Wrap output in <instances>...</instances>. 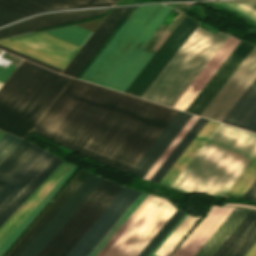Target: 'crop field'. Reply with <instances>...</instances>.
Returning <instances> with one entry per match:
<instances>
[{
	"label": "crop field",
	"mask_w": 256,
	"mask_h": 256,
	"mask_svg": "<svg viewBox=\"0 0 256 256\" xmlns=\"http://www.w3.org/2000/svg\"><path fill=\"white\" fill-rule=\"evenodd\" d=\"M177 112L71 78L31 131L129 173Z\"/></svg>",
	"instance_id": "8a807250"
},
{
	"label": "crop field",
	"mask_w": 256,
	"mask_h": 256,
	"mask_svg": "<svg viewBox=\"0 0 256 256\" xmlns=\"http://www.w3.org/2000/svg\"><path fill=\"white\" fill-rule=\"evenodd\" d=\"M171 11L162 4L137 6L81 79L124 92L154 55L142 47Z\"/></svg>",
	"instance_id": "ac0d7876"
},
{
	"label": "crop field",
	"mask_w": 256,
	"mask_h": 256,
	"mask_svg": "<svg viewBox=\"0 0 256 256\" xmlns=\"http://www.w3.org/2000/svg\"><path fill=\"white\" fill-rule=\"evenodd\" d=\"M255 156V134L220 124L171 187L224 196Z\"/></svg>",
	"instance_id": "34b2d1b8"
},
{
	"label": "crop field",
	"mask_w": 256,
	"mask_h": 256,
	"mask_svg": "<svg viewBox=\"0 0 256 256\" xmlns=\"http://www.w3.org/2000/svg\"><path fill=\"white\" fill-rule=\"evenodd\" d=\"M69 79L23 61L0 89V129L23 138Z\"/></svg>",
	"instance_id": "412701ff"
},
{
	"label": "crop field",
	"mask_w": 256,
	"mask_h": 256,
	"mask_svg": "<svg viewBox=\"0 0 256 256\" xmlns=\"http://www.w3.org/2000/svg\"><path fill=\"white\" fill-rule=\"evenodd\" d=\"M227 37L197 26L142 98L173 107Z\"/></svg>",
	"instance_id": "f4fd0767"
},
{
	"label": "crop field",
	"mask_w": 256,
	"mask_h": 256,
	"mask_svg": "<svg viewBox=\"0 0 256 256\" xmlns=\"http://www.w3.org/2000/svg\"><path fill=\"white\" fill-rule=\"evenodd\" d=\"M122 188L103 179L38 256H65Z\"/></svg>",
	"instance_id": "dd49c442"
},
{
	"label": "crop field",
	"mask_w": 256,
	"mask_h": 256,
	"mask_svg": "<svg viewBox=\"0 0 256 256\" xmlns=\"http://www.w3.org/2000/svg\"><path fill=\"white\" fill-rule=\"evenodd\" d=\"M54 155L22 140L0 163V213Z\"/></svg>",
	"instance_id": "e52e79f7"
},
{
	"label": "crop field",
	"mask_w": 256,
	"mask_h": 256,
	"mask_svg": "<svg viewBox=\"0 0 256 256\" xmlns=\"http://www.w3.org/2000/svg\"><path fill=\"white\" fill-rule=\"evenodd\" d=\"M176 210L167 200L154 196L104 256H137Z\"/></svg>",
	"instance_id": "d8731c3e"
},
{
	"label": "crop field",
	"mask_w": 256,
	"mask_h": 256,
	"mask_svg": "<svg viewBox=\"0 0 256 256\" xmlns=\"http://www.w3.org/2000/svg\"><path fill=\"white\" fill-rule=\"evenodd\" d=\"M256 77V46L202 112L201 116L221 121Z\"/></svg>",
	"instance_id": "5a996713"
},
{
	"label": "crop field",
	"mask_w": 256,
	"mask_h": 256,
	"mask_svg": "<svg viewBox=\"0 0 256 256\" xmlns=\"http://www.w3.org/2000/svg\"><path fill=\"white\" fill-rule=\"evenodd\" d=\"M139 193L124 187L66 256H87Z\"/></svg>",
	"instance_id": "3316defc"
},
{
	"label": "crop field",
	"mask_w": 256,
	"mask_h": 256,
	"mask_svg": "<svg viewBox=\"0 0 256 256\" xmlns=\"http://www.w3.org/2000/svg\"><path fill=\"white\" fill-rule=\"evenodd\" d=\"M101 180L90 173L20 256H36Z\"/></svg>",
	"instance_id": "28ad6ade"
},
{
	"label": "crop field",
	"mask_w": 256,
	"mask_h": 256,
	"mask_svg": "<svg viewBox=\"0 0 256 256\" xmlns=\"http://www.w3.org/2000/svg\"><path fill=\"white\" fill-rule=\"evenodd\" d=\"M253 45L243 41L236 47L192 104L188 107L186 112L200 114L205 106L210 102L218 90L223 86L231 74L236 70L244 58L253 49Z\"/></svg>",
	"instance_id": "d1516ede"
},
{
	"label": "crop field",
	"mask_w": 256,
	"mask_h": 256,
	"mask_svg": "<svg viewBox=\"0 0 256 256\" xmlns=\"http://www.w3.org/2000/svg\"><path fill=\"white\" fill-rule=\"evenodd\" d=\"M110 9L73 10L39 15L0 29V38L27 33L53 25L98 15Z\"/></svg>",
	"instance_id": "22f410ed"
},
{
	"label": "crop field",
	"mask_w": 256,
	"mask_h": 256,
	"mask_svg": "<svg viewBox=\"0 0 256 256\" xmlns=\"http://www.w3.org/2000/svg\"><path fill=\"white\" fill-rule=\"evenodd\" d=\"M234 208L212 206L172 256H194Z\"/></svg>",
	"instance_id": "cbeb9de0"
},
{
	"label": "crop field",
	"mask_w": 256,
	"mask_h": 256,
	"mask_svg": "<svg viewBox=\"0 0 256 256\" xmlns=\"http://www.w3.org/2000/svg\"><path fill=\"white\" fill-rule=\"evenodd\" d=\"M129 8H117L110 13L62 73L75 77Z\"/></svg>",
	"instance_id": "5142ce71"
},
{
	"label": "crop field",
	"mask_w": 256,
	"mask_h": 256,
	"mask_svg": "<svg viewBox=\"0 0 256 256\" xmlns=\"http://www.w3.org/2000/svg\"><path fill=\"white\" fill-rule=\"evenodd\" d=\"M256 241V211L251 210L213 256H243Z\"/></svg>",
	"instance_id": "d9b57169"
},
{
	"label": "crop field",
	"mask_w": 256,
	"mask_h": 256,
	"mask_svg": "<svg viewBox=\"0 0 256 256\" xmlns=\"http://www.w3.org/2000/svg\"><path fill=\"white\" fill-rule=\"evenodd\" d=\"M88 174L89 172L83 169L79 171V173L73 178V180L67 185V187L61 192V194L55 199V201L49 206V208L43 213V215L37 220V222L31 227V229L7 256H19L22 253V251L46 225V223L51 219V217L57 212V210L63 205V203L69 198V196L75 191V189L81 184Z\"/></svg>",
	"instance_id": "733c2abd"
},
{
	"label": "crop field",
	"mask_w": 256,
	"mask_h": 256,
	"mask_svg": "<svg viewBox=\"0 0 256 256\" xmlns=\"http://www.w3.org/2000/svg\"><path fill=\"white\" fill-rule=\"evenodd\" d=\"M25 45L53 55L67 62L78 51L79 47L48 35L44 32L12 38Z\"/></svg>",
	"instance_id": "4a817a6b"
},
{
	"label": "crop field",
	"mask_w": 256,
	"mask_h": 256,
	"mask_svg": "<svg viewBox=\"0 0 256 256\" xmlns=\"http://www.w3.org/2000/svg\"><path fill=\"white\" fill-rule=\"evenodd\" d=\"M256 121V79L223 118L222 122L249 130Z\"/></svg>",
	"instance_id": "bc2a9ffb"
},
{
	"label": "crop field",
	"mask_w": 256,
	"mask_h": 256,
	"mask_svg": "<svg viewBox=\"0 0 256 256\" xmlns=\"http://www.w3.org/2000/svg\"><path fill=\"white\" fill-rule=\"evenodd\" d=\"M219 123L208 120L203 128L199 131L196 137L172 165L169 171L161 179L160 183L170 186L175 178L180 174L192 157L197 153L209 136L214 132L218 127Z\"/></svg>",
	"instance_id": "214f88e0"
},
{
	"label": "crop field",
	"mask_w": 256,
	"mask_h": 256,
	"mask_svg": "<svg viewBox=\"0 0 256 256\" xmlns=\"http://www.w3.org/2000/svg\"><path fill=\"white\" fill-rule=\"evenodd\" d=\"M250 210L235 208L195 256H212Z\"/></svg>",
	"instance_id": "92a150f3"
},
{
	"label": "crop field",
	"mask_w": 256,
	"mask_h": 256,
	"mask_svg": "<svg viewBox=\"0 0 256 256\" xmlns=\"http://www.w3.org/2000/svg\"><path fill=\"white\" fill-rule=\"evenodd\" d=\"M66 8L68 7L49 0H0V9L22 18L39 12Z\"/></svg>",
	"instance_id": "dafd665d"
},
{
	"label": "crop field",
	"mask_w": 256,
	"mask_h": 256,
	"mask_svg": "<svg viewBox=\"0 0 256 256\" xmlns=\"http://www.w3.org/2000/svg\"><path fill=\"white\" fill-rule=\"evenodd\" d=\"M186 215H187L186 213H184L182 215V217L176 222V224L170 229V231L164 236V238L158 243V245L152 250V252L148 256H155V255L168 256L171 253V251L177 246V244L182 240V238L188 233V231L194 226V224L202 216L201 215V216L194 217L190 214H188L187 216ZM185 216H186V218H185ZM179 223H180V225H179ZM173 230H174V232H173ZM168 236H169V238H168ZM162 243H163V245H162ZM156 250H157V252H156ZM154 253H155V255H153Z\"/></svg>",
	"instance_id": "00972430"
},
{
	"label": "crop field",
	"mask_w": 256,
	"mask_h": 256,
	"mask_svg": "<svg viewBox=\"0 0 256 256\" xmlns=\"http://www.w3.org/2000/svg\"><path fill=\"white\" fill-rule=\"evenodd\" d=\"M77 169L76 166H72L70 170L61 178V180L52 188V190L43 198V200L34 208V210L25 218V220L6 238V240L0 245V256L9 249V247L15 242V240L21 235V233L27 228V226L33 221L38 213L44 208V206L50 201V199L56 194V192L62 187V185L68 180V178Z\"/></svg>",
	"instance_id": "a9b5d70f"
},
{
	"label": "crop field",
	"mask_w": 256,
	"mask_h": 256,
	"mask_svg": "<svg viewBox=\"0 0 256 256\" xmlns=\"http://www.w3.org/2000/svg\"><path fill=\"white\" fill-rule=\"evenodd\" d=\"M71 166L72 164L67 162L42 188V190L25 206V208L8 224V226L0 233V244L23 221V219L32 211V209L41 201V199L50 191V189L59 181V179Z\"/></svg>",
	"instance_id": "4177f3b9"
},
{
	"label": "crop field",
	"mask_w": 256,
	"mask_h": 256,
	"mask_svg": "<svg viewBox=\"0 0 256 256\" xmlns=\"http://www.w3.org/2000/svg\"><path fill=\"white\" fill-rule=\"evenodd\" d=\"M63 160L55 157L45 169L23 190V192L2 212L0 226L31 195V193L52 173Z\"/></svg>",
	"instance_id": "730fd06b"
},
{
	"label": "crop field",
	"mask_w": 256,
	"mask_h": 256,
	"mask_svg": "<svg viewBox=\"0 0 256 256\" xmlns=\"http://www.w3.org/2000/svg\"><path fill=\"white\" fill-rule=\"evenodd\" d=\"M191 20L192 19L186 16L184 17V19L180 22V24L176 27V29L172 32V34L168 37V39L164 42V44L160 47V49L156 52V54L151 58V60L147 63V65L143 68V70L139 73V75L127 88V90L125 91L126 93H130V94L133 93V91L138 87V85L142 82V80L146 77V75L151 71V69L155 66V64L159 61V59L164 55V53L168 50V48L177 39V37L181 34V32L185 29V27L190 23Z\"/></svg>",
	"instance_id": "eef30255"
},
{
	"label": "crop field",
	"mask_w": 256,
	"mask_h": 256,
	"mask_svg": "<svg viewBox=\"0 0 256 256\" xmlns=\"http://www.w3.org/2000/svg\"><path fill=\"white\" fill-rule=\"evenodd\" d=\"M206 121L207 119L201 117L198 118V120L194 123V125L190 128V130L186 133V135L182 138V140L178 143L175 149L171 152V154L167 157V159L163 162V164L159 167V169L155 172L150 180L157 182L160 181V179L164 176V174L168 171L171 165L175 162V160L195 137V135L206 123Z\"/></svg>",
	"instance_id": "ae1a2a85"
},
{
	"label": "crop field",
	"mask_w": 256,
	"mask_h": 256,
	"mask_svg": "<svg viewBox=\"0 0 256 256\" xmlns=\"http://www.w3.org/2000/svg\"><path fill=\"white\" fill-rule=\"evenodd\" d=\"M196 26L197 23L192 20L133 95L139 97L142 95V93L146 90V88L150 85V83L154 80V78L158 75L166 63L171 59V57L175 54V52L179 49V47L183 44V42L187 39V37L191 34Z\"/></svg>",
	"instance_id": "d3111659"
},
{
	"label": "crop field",
	"mask_w": 256,
	"mask_h": 256,
	"mask_svg": "<svg viewBox=\"0 0 256 256\" xmlns=\"http://www.w3.org/2000/svg\"><path fill=\"white\" fill-rule=\"evenodd\" d=\"M191 116H192L191 114H187V113L183 114V116L174 125V127L170 130V132L166 135V137L162 140V142L157 146V148L153 151V153L149 156V158L145 161V163L136 172L135 176H138L141 178L144 177V175L148 172V170L152 167V165L164 152L167 146L171 143V141L175 138V136L179 133V131L191 118Z\"/></svg>",
	"instance_id": "750c4746"
},
{
	"label": "crop field",
	"mask_w": 256,
	"mask_h": 256,
	"mask_svg": "<svg viewBox=\"0 0 256 256\" xmlns=\"http://www.w3.org/2000/svg\"><path fill=\"white\" fill-rule=\"evenodd\" d=\"M0 45L8 47L10 49H13L15 51H18L25 55L31 56L33 58H36V59L46 62L48 64L54 65L61 69H63L65 67V65L67 64V62H65V61H62L53 56H50L48 54H45L43 52H40V51L30 48L28 46H25L21 43L11 40V39H6V40L0 41Z\"/></svg>",
	"instance_id": "bd1437ed"
},
{
	"label": "crop field",
	"mask_w": 256,
	"mask_h": 256,
	"mask_svg": "<svg viewBox=\"0 0 256 256\" xmlns=\"http://www.w3.org/2000/svg\"><path fill=\"white\" fill-rule=\"evenodd\" d=\"M147 196L148 194H145L143 192L139 194V196L134 200V202L129 206V208L124 212V214L119 218V220L114 224V226L108 231V233L102 238V240L97 244V246L91 251L88 256H96L100 252V250L113 237V235L126 222V220L132 215V213L138 208V206L144 201Z\"/></svg>",
	"instance_id": "1d83c4d3"
},
{
	"label": "crop field",
	"mask_w": 256,
	"mask_h": 256,
	"mask_svg": "<svg viewBox=\"0 0 256 256\" xmlns=\"http://www.w3.org/2000/svg\"><path fill=\"white\" fill-rule=\"evenodd\" d=\"M256 179V157L237 179L225 196L241 198Z\"/></svg>",
	"instance_id": "120bbe31"
},
{
	"label": "crop field",
	"mask_w": 256,
	"mask_h": 256,
	"mask_svg": "<svg viewBox=\"0 0 256 256\" xmlns=\"http://www.w3.org/2000/svg\"><path fill=\"white\" fill-rule=\"evenodd\" d=\"M45 32L51 35H54L56 37H59L63 40H66L68 42H71L73 44H76L78 46L81 45V43L85 40V38L90 33V31L85 30L76 25L69 26L62 29H57V30L45 31Z\"/></svg>",
	"instance_id": "d32e631a"
},
{
	"label": "crop field",
	"mask_w": 256,
	"mask_h": 256,
	"mask_svg": "<svg viewBox=\"0 0 256 256\" xmlns=\"http://www.w3.org/2000/svg\"><path fill=\"white\" fill-rule=\"evenodd\" d=\"M198 116L193 115L192 118L188 121V123L184 126V128L180 131V133L176 136V138L172 141L169 147L165 150V152L161 155V157L157 160V162L153 165V167L149 170V172L145 175L144 179L149 180L150 177L154 174V172L158 169V167L162 164V162L166 159V157L170 154L173 148L177 145V143L181 140V138L185 135V133L189 130V128L193 125V123L197 120Z\"/></svg>",
	"instance_id": "5866460e"
},
{
	"label": "crop field",
	"mask_w": 256,
	"mask_h": 256,
	"mask_svg": "<svg viewBox=\"0 0 256 256\" xmlns=\"http://www.w3.org/2000/svg\"><path fill=\"white\" fill-rule=\"evenodd\" d=\"M174 214V213H173ZM183 212L177 210L175 214L168 220V222L162 227V229L155 235V237L149 242V244L142 250L138 256H147L151 250L157 245V243L163 238V236L169 231V229L175 224V222L181 217Z\"/></svg>",
	"instance_id": "028f5c9d"
},
{
	"label": "crop field",
	"mask_w": 256,
	"mask_h": 256,
	"mask_svg": "<svg viewBox=\"0 0 256 256\" xmlns=\"http://www.w3.org/2000/svg\"><path fill=\"white\" fill-rule=\"evenodd\" d=\"M70 8L114 5L117 0H52Z\"/></svg>",
	"instance_id": "e1f06a70"
},
{
	"label": "crop field",
	"mask_w": 256,
	"mask_h": 256,
	"mask_svg": "<svg viewBox=\"0 0 256 256\" xmlns=\"http://www.w3.org/2000/svg\"><path fill=\"white\" fill-rule=\"evenodd\" d=\"M182 114H183V112H181V111L178 112V114L174 117V119L170 122V124L165 128V130L161 133V135L157 138V140L153 143V145L149 148V150L144 154V156L140 159V161L132 169L130 174H132V175L135 174V172L144 163V161L148 158V156L152 153V151L156 148V146L161 142V140L165 137V135L173 127V125L178 121V119L182 116Z\"/></svg>",
	"instance_id": "0bd39190"
},
{
	"label": "crop field",
	"mask_w": 256,
	"mask_h": 256,
	"mask_svg": "<svg viewBox=\"0 0 256 256\" xmlns=\"http://www.w3.org/2000/svg\"><path fill=\"white\" fill-rule=\"evenodd\" d=\"M136 6L131 7L130 10L126 13V15L122 18V20L118 23V25L114 28V30L110 33V35L106 38V40L101 44V46L97 49V51L93 54V56L89 59V61L85 64V66L81 69V71L77 74V78H80L81 75L85 72V70L89 67V65L93 62L96 56L100 53V51L104 48V46L108 43V41L112 38V36L116 33V31L120 28L123 22L127 19V17L131 14V12L135 9Z\"/></svg>",
	"instance_id": "b80d0937"
},
{
	"label": "crop field",
	"mask_w": 256,
	"mask_h": 256,
	"mask_svg": "<svg viewBox=\"0 0 256 256\" xmlns=\"http://www.w3.org/2000/svg\"><path fill=\"white\" fill-rule=\"evenodd\" d=\"M153 196L149 195L147 199L140 205V207L134 212V214L127 220V222L121 227V229L114 235V237L108 242V244L101 250L97 256H102L108 248L114 243V241L121 235V233L127 228V226L133 221V219L139 214V212L145 207V205L151 200ZM153 199V198H152ZM110 249V248H109ZM104 256V255H103Z\"/></svg>",
	"instance_id": "c035e120"
},
{
	"label": "crop field",
	"mask_w": 256,
	"mask_h": 256,
	"mask_svg": "<svg viewBox=\"0 0 256 256\" xmlns=\"http://www.w3.org/2000/svg\"><path fill=\"white\" fill-rule=\"evenodd\" d=\"M21 141L16 137L6 134L0 140V162L13 150V148Z\"/></svg>",
	"instance_id": "c21b1889"
},
{
	"label": "crop field",
	"mask_w": 256,
	"mask_h": 256,
	"mask_svg": "<svg viewBox=\"0 0 256 256\" xmlns=\"http://www.w3.org/2000/svg\"><path fill=\"white\" fill-rule=\"evenodd\" d=\"M63 161L54 172L34 191V193L11 215V217L0 227V232L7 226V224L24 208V206L41 190V188L58 172V170L65 164Z\"/></svg>",
	"instance_id": "03da06ac"
},
{
	"label": "crop field",
	"mask_w": 256,
	"mask_h": 256,
	"mask_svg": "<svg viewBox=\"0 0 256 256\" xmlns=\"http://www.w3.org/2000/svg\"><path fill=\"white\" fill-rule=\"evenodd\" d=\"M217 4L227 8V9H229V10H231V11H233V12L239 14V15H242V16H244V17H246V18H248V19H250L254 22H256V14L255 13H253L251 11H248V10H246V9H244V8L234 4V3L227 2V3H217Z\"/></svg>",
	"instance_id": "b54c1fbb"
},
{
	"label": "crop field",
	"mask_w": 256,
	"mask_h": 256,
	"mask_svg": "<svg viewBox=\"0 0 256 256\" xmlns=\"http://www.w3.org/2000/svg\"><path fill=\"white\" fill-rule=\"evenodd\" d=\"M0 49L5 50V51L10 52V53H13V54H15V55H18V56H20V57H23V58L28 59V60H30V61H33V62H35V63H38V64H40V65L46 66V67L51 68V69H53V70H56V71H58V72H61V69H59V68H56V67L51 66V65H48V64H46V63H43V62L38 61V60H36V59H33V58H31V57L25 56V55H23V54H20V53H18V52H15V51H13V50L8 49V48H5V47L0 46Z\"/></svg>",
	"instance_id": "5d738f31"
},
{
	"label": "crop field",
	"mask_w": 256,
	"mask_h": 256,
	"mask_svg": "<svg viewBox=\"0 0 256 256\" xmlns=\"http://www.w3.org/2000/svg\"><path fill=\"white\" fill-rule=\"evenodd\" d=\"M18 19H21V18L0 10V26L16 21Z\"/></svg>",
	"instance_id": "d23c7cc5"
},
{
	"label": "crop field",
	"mask_w": 256,
	"mask_h": 256,
	"mask_svg": "<svg viewBox=\"0 0 256 256\" xmlns=\"http://www.w3.org/2000/svg\"><path fill=\"white\" fill-rule=\"evenodd\" d=\"M15 65L10 64L7 69L0 66V81L3 82L4 79L9 75V73L14 69Z\"/></svg>",
	"instance_id": "425ffa30"
},
{
	"label": "crop field",
	"mask_w": 256,
	"mask_h": 256,
	"mask_svg": "<svg viewBox=\"0 0 256 256\" xmlns=\"http://www.w3.org/2000/svg\"><path fill=\"white\" fill-rule=\"evenodd\" d=\"M243 198L251 199V200H255L256 201V181L251 186V188L247 191V193L244 195Z\"/></svg>",
	"instance_id": "25e5ab78"
},
{
	"label": "crop field",
	"mask_w": 256,
	"mask_h": 256,
	"mask_svg": "<svg viewBox=\"0 0 256 256\" xmlns=\"http://www.w3.org/2000/svg\"><path fill=\"white\" fill-rule=\"evenodd\" d=\"M234 3H236V4L242 6V7L246 8V9L251 10V11L256 13V3L253 2V1H249V2H234Z\"/></svg>",
	"instance_id": "73cf0c24"
},
{
	"label": "crop field",
	"mask_w": 256,
	"mask_h": 256,
	"mask_svg": "<svg viewBox=\"0 0 256 256\" xmlns=\"http://www.w3.org/2000/svg\"><path fill=\"white\" fill-rule=\"evenodd\" d=\"M244 256H256V242Z\"/></svg>",
	"instance_id": "89e229c0"
},
{
	"label": "crop field",
	"mask_w": 256,
	"mask_h": 256,
	"mask_svg": "<svg viewBox=\"0 0 256 256\" xmlns=\"http://www.w3.org/2000/svg\"><path fill=\"white\" fill-rule=\"evenodd\" d=\"M228 206H236V207H245V208H252V209H256V207H252V206H247V205H233V204H226Z\"/></svg>",
	"instance_id": "1f2cbd36"
},
{
	"label": "crop field",
	"mask_w": 256,
	"mask_h": 256,
	"mask_svg": "<svg viewBox=\"0 0 256 256\" xmlns=\"http://www.w3.org/2000/svg\"><path fill=\"white\" fill-rule=\"evenodd\" d=\"M250 131L256 132V122H255V124L251 127Z\"/></svg>",
	"instance_id": "dbb93151"
},
{
	"label": "crop field",
	"mask_w": 256,
	"mask_h": 256,
	"mask_svg": "<svg viewBox=\"0 0 256 256\" xmlns=\"http://www.w3.org/2000/svg\"><path fill=\"white\" fill-rule=\"evenodd\" d=\"M5 135V133L0 131V139Z\"/></svg>",
	"instance_id": "0fb4a251"
},
{
	"label": "crop field",
	"mask_w": 256,
	"mask_h": 256,
	"mask_svg": "<svg viewBox=\"0 0 256 256\" xmlns=\"http://www.w3.org/2000/svg\"><path fill=\"white\" fill-rule=\"evenodd\" d=\"M2 83H0V87H1Z\"/></svg>",
	"instance_id": "1d79db26"
},
{
	"label": "crop field",
	"mask_w": 256,
	"mask_h": 256,
	"mask_svg": "<svg viewBox=\"0 0 256 256\" xmlns=\"http://www.w3.org/2000/svg\"><path fill=\"white\" fill-rule=\"evenodd\" d=\"M253 1H255V2H256V0H253Z\"/></svg>",
	"instance_id": "9d1cf04e"
}]
</instances>
